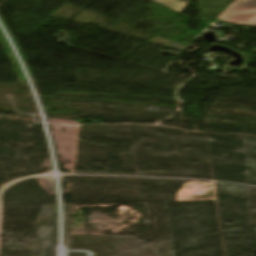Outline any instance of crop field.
I'll return each instance as SVG.
<instances>
[{
  "instance_id": "obj_1",
  "label": "crop field",
  "mask_w": 256,
  "mask_h": 256,
  "mask_svg": "<svg viewBox=\"0 0 256 256\" xmlns=\"http://www.w3.org/2000/svg\"><path fill=\"white\" fill-rule=\"evenodd\" d=\"M216 20L256 25V0H235Z\"/></svg>"
},
{
  "instance_id": "obj_2",
  "label": "crop field",
  "mask_w": 256,
  "mask_h": 256,
  "mask_svg": "<svg viewBox=\"0 0 256 256\" xmlns=\"http://www.w3.org/2000/svg\"><path fill=\"white\" fill-rule=\"evenodd\" d=\"M182 13L190 4L187 0H153Z\"/></svg>"
}]
</instances>
